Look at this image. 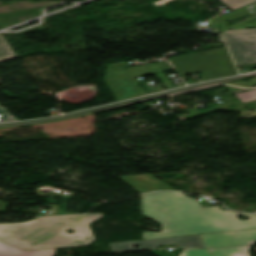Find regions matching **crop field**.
Returning <instances> with one entry per match:
<instances>
[{"label": "crop field", "mask_w": 256, "mask_h": 256, "mask_svg": "<svg viewBox=\"0 0 256 256\" xmlns=\"http://www.w3.org/2000/svg\"><path fill=\"white\" fill-rule=\"evenodd\" d=\"M141 203L142 214L162 225L159 233L143 232V240L256 228V215L235 214L216 207L203 209L183 193L143 195ZM237 215L250 219L241 221Z\"/></svg>", "instance_id": "8a807250"}, {"label": "crop field", "mask_w": 256, "mask_h": 256, "mask_svg": "<svg viewBox=\"0 0 256 256\" xmlns=\"http://www.w3.org/2000/svg\"><path fill=\"white\" fill-rule=\"evenodd\" d=\"M101 213L84 216L37 218L25 223L0 224V241L24 250L84 246L95 241L88 225L103 217ZM72 229L74 234H68ZM77 236V238H74Z\"/></svg>", "instance_id": "ac0d7876"}, {"label": "crop field", "mask_w": 256, "mask_h": 256, "mask_svg": "<svg viewBox=\"0 0 256 256\" xmlns=\"http://www.w3.org/2000/svg\"><path fill=\"white\" fill-rule=\"evenodd\" d=\"M168 59L180 75L201 73V81L237 74L225 47Z\"/></svg>", "instance_id": "34b2d1b8"}, {"label": "crop field", "mask_w": 256, "mask_h": 256, "mask_svg": "<svg viewBox=\"0 0 256 256\" xmlns=\"http://www.w3.org/2000/svg\"><path fill=\"white\" fill-rule=\"evenodd\" d=\"M221 35L229 42L237 66L256 63V29L227 30ZM229 37L232 39L228 40Z\"/></svg>", "instance_id": "412701ff"}, {"label": "crop field", "mask_w": 256, "mask_h": 256, "mask_svg": "<svg viewBox=\"0 0 256 256\" xmlns=\"http://www.w3.org/2000/svg\"><path fill=\"white\" fill-rule=\"evenodd\" d=\"M178 244L179 247L204 248L198 235L157 240L109 244L112 252L156 248L157 245ZM139 246L134 249L133 246ZM177 245V246H178Z\"/></svg>", "instance_id": "f4fd0767"}, {"label": "crop field", "mask_w": 256, "mask_h": 256, "mask_svg": "<svg viewBox=\"0 0 256 256\" xmlns=\"http://www.w3.org/2000/svg\"><path fill=\"white\" fill-rule=\"evenodd\" d=\"M206 248L250 245L256 242V230L200 235Z\"/></svg>", "instance_id": "dd49c442"}, {"label": "crop field", "mask_w": 256, "mask_h": 256, "mask_svg": "<svg viewBox=\"0 0 256 256\" xmlns=\"http://www.w3.org/2000/svg\"><path fill=\"white\" fill-rule=\"evenodd\" d=\"M134 189L142 192L152 191V190H174L175 188L169 186L168 184L160 181L150 174L139 175V176H128L120 177Z\"/></svg>", "instance_id": "e52e79f7"}, {"label": "crop field", "mask_w": 256, "mask_h": 256, "mask_svg": "<svg viewBox=\"0 0 256 256\" xmlns=\"http://www.w3.org/2000/svg\"><path fill=\"white\" fill-rule=\"evenodd\" d=\"M56 249L42 251H23L0 242V256H53Z\"/></svg>", "instance_id": "d8731c3e"}, {"label": "crop field", "mask_w": 256, "mask_h": 256, "mask_svg": "<svg viewBox=\"0 0 256 256\" xmlns=\"http://www.w3.org/2000/svg\"><path fill=\"white\" fill-rule=\"evenodd\" d=\"M251 246L247 247H235V248H223L209 250L215 256H249L248 250ZM211 253V254H212Z\"/></svg>", "instance_id": "5a996713"}, {"label": "crop field", "mask_w": 256, "mask_h": 256, "mask_svg": "<svg viewBox=\"0 0 256 256\" xmlns=\"http://www.w3.org/2000/svg\"><path fill=\"white\" fill-rule=\"evenodd\" d=\"M3 37L0 35V62L16 57V54L13 52Z\"/></svg>", "instance_id": "3316defc"}, {"label": "crop field", "mask_w": 256, "mask_h": 256, "mask_svg": "<svg viewBox=\"0 0 256 256\" xmlns=\"http://www.w3.org/2000/svg\"><path fill=\"white\" fill-rule=\"evenodd\" d=\"M227 8L235 10L256 2V0H220Z\"/></svg>", "instance_id": "28ad6ade"}, {"label": "crop field", "mask_w": 256, "mask_h": 256, "mask_svg": "<svg viewBox=\"0 0 256 256\" xmlns=\"http://www.w3.org/2000/svg\"><path fill=\"white\" fill-rule=\"evenodd\" d=\"M179 256H212L206 250L184 249Z\"/></svg>", "instance_id": "d1516ede"}, {"label": "crop field", "mask_w": 256, "mask_h": 256, "mask_svg": "<svg viewBox=\"0 0 256 256\" xmlns=\"http://www.w3.org/2000/svg\"><path fill=\"white\" fill-rule=\"evenodd\" d=\"M0 113L2 115V117L0 118L2 122L17 120L11 114H9L5 109H3L1 106H0Z\"/></svg>", "instance_id": "22f410ed"}, {"label": "crop field", "mask_w": 256, "mask_h": 256, "mask_svg": "<svg viewBox=\"0 0 256 256\" xmlns=\"http://www.w3.org/2000/svg\"><path fill=\"white\" fill-rule=\"evenodd\" d=\"M7 205H8L7 203L0 201V212H4Z\"/></svg>", "instance_id": "cbeb9de0"}, {"label": "crop field", "mask_w": 256, "mask_h": 256, "mask_svg": "<svg viewBox=\"0 0 256 256\" xmlns=\"http://www.w3.org/2000/svg\"><path fill=\"white\" fill-rule=\"evenodd\" d=\"M256 15V7L251 8Z\"/></svg>", "instance_id": "5142ce71"}]
</instances>
